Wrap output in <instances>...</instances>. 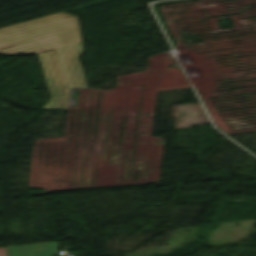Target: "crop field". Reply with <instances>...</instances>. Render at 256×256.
Segmentation results:
<instances>
[{"instance_id": "8a807250", "label": "crop field", "mask_w": 256, "mask_h": 256, "mask_svg": "<svg viewBox=\"0 0 256 256\" xmlns=\"http://www.w3.org/2000/svg\"><path fill=\"white\" fill-rule=\"evenodd\" d=\"M81 43L38 54L50 100L42 109H67L70 88H87L77 57Z\"/></svg>"}, {"instance_id": "ac0d7876", "label": "crop field", "mask_w": 256, "mask_h": 256, "mask_svg": "<svg viewBox=\"0 0 256 256\" xmlns=\"http://www.w3.org/2000/svg\"><path fill=\"white\" fill-rule=\"evenodd\" d=\"M57 242L7 247L8 256H52Z\"/></svg>"}, {"instance_id": "34b2d1b8", "label": "crop field", "mask_w": 256, "mask_h": 256, "mask_svg": "<svg viewBox=\"0 0 256 256\" xmlns=\"http://www.w3.org/2000/svg\"><path fill=\"white\" fill-rule=\"evenodd\" d=\"M0 256H5L4 248H0Z\"/></svg>"}]
</instances>
